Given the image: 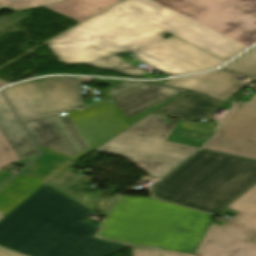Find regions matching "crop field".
<instances>
[{"label":"crop field","mask_w":256,"mask_h":256,"mask_svg":"<svg viewBox=\"0 0 256 256\" xmlns=\"http://www.w3.org/2000/svg\"><path fill=\"white\" fill-rule=\"evenodd\" d=\"M82 176H79L73 173L70 167L62 170L57 175L52 177L46 184H48L53 189L59 191L60 193L66 195L67 197L73 199L74 201L80 203L81 205L85 206L90 210H94L96 206L90 204L89 202L85 201L84 199L78 197L77 195L67 191L66 189L71 187L72 185L76 184L80 181Z\"/></svg>","instance_id":"17"},{"label":"crop field","mask_w":256,"mask_h":256,"mask_svg":"<svg viewBox=\"0 0 256 256\" xmlns=\"http://www.w3.org/2000/svg\"><path fill=\"white\" fill-rule=\"evenodd\" d=\"M38 154H39V151L30 155V156H28V157H26V158H24V159H22V160H20V161H17L16 164L24 166L25 164H27L31 159H33Z\"/></svg>","instance_id":"25"},{"label":"crop field","mask_w":256,"mask_h":256,"mask_svg":"<svg viewBox=\"0 0 256 256\" xmlns=\"http://www.w3.org/2000/svg\"><path fill=\"white\" fill-rule=\"evenodd\" d=\"M236 77L238 76L217 70L205 74L170 79L164 85L191 89L224 101L244 86L243 83L236 82Z\"/></svg>","instance_id":"12"},{"label":"crop field","mask_w":256,"mask_h":256,"mask_svg":"<svg viewBox=\"0 0 256 256\" xmlns=\"http://www.w3.org/2000/svg\"><path fill=\"white\" fill-rule=\"evenodd\" d=\"M17 160L15 153L0 130V170Z\"/></svg>","instance_id":"20"},{"label":"crop field","mask_w":256,"mask_h":256,"mask_svg":"<svg viewBox=\"0 0 256 256\" xmlns=\"http://www.w3.org/2000/svg\"><path fill=\"white\" fill-rule=\"evenodd\" d=\"M186 17V16H185ZM150 0H125L47 43L60 62L85 63L134 76L155 78L113 54L129 51L172 76L209 70L248 46ZM49 48V49H50Z\"/></svg>","instance_id":"1"},{"label":"crop field","mask_w":256,"mask_h":256,"mask_svg":"<svg viewBox=\"0 0 256 256\" xmlns=\"http://www.w3.org/2000/svg\"><path fill=\"white\" fill-rule=\"evenodd\" d=\"M72 163L43 152L26 166L34 170L28 177L17 174L0 189V212H10L44 182Z\"/></svg>","instance_id":"11"},{"label":"crop field","mask_w":256,"mask_h":256,"mask_svg":"<svg viewBox=\"0 0 256 256\" xmlns=\"http://www.w3.org/2000/svg\"><path fill=\"white\" fill-rule=\"evenodd\" d=\"M203 148L256 159V97L235 103Z\"/></svg>","instance_id":"10"},{"label":"crop field","mask_w":256,"mask_h":256,"mask_svg":"<svg viewBox=\"0 0 256 256\" xmlns=\"http://www.w3.org/2000/svg\"><path fill=\"white\" fill-rule=\"evenodd\" d=\"M0 129L4 133L14 152L22 159L36 151L37 148L13 114L0 93Z\"/></svg>","instance_id":"14"},{"label":"crop field","mask_w":256,"mask_h":256,"mask_svg":"<svg viewBox=\"0 0 256 256\" xmlns=\"http://www.w3.org/2000/svg\"><path fill=\"white\" fill-rule=\"evenodd\" d=\"M62 1L64 0H0V9L9 8L14 12H19L51 5Z\"/></svg>","instance_id":"19"},{"label":"crop field","mask_w":256,"mask_h":256,"mask_svg":"<svg viewBox=\"0 0 256 256\" xmlns=\"http://www.w3.org/2000/svg\"><path fill=\"white\" fill-rule=\"evenodd\" d=\"M162 252H163V256H195V255H189L185 253L168 251V250H162Z\"/></svg>","instance_id":"24"},{"label":"crop field","mask_w":256,"mask_h":256,"mask_svg":"<svg viewBox=\"0 0 256 256\" xmlns=\"http://www.w3.org/2000/svg\"><path fill=\"white\" fill-rule=\"evenodd\" d=\"M3 216H5V214H3V213H0V219H1Z\"/></svg>","instance_id":"29"},{"label":"crop field","mask_w":256,"mask_h":256,"mask_svg":"<svg viewBox=\"0 0 256 256\" xmlns=\"http://www.w3.org/2000/svg\"><path fill=\"white\" fill-rule=\"evenodd\" d=\"M248 46L256 42V0H152Z\"/></svg>","instance_id":"7"},{"label":"crop field","mask_w":256,"mask_h":256,"mask_svg":"<svg viewBox=\"0 0 256 256\" xmlns=\"http://www.w3.org/2000/svg\"><path fill=\"white\" fill-rule=\"evenodd\" d=\"M133 256H160L159 251L154 249L132 248Z\"/></svg>","instance_id":"21"},{"label":"crop field","mask_w":256,"mask_h":256,"mask_svg":"<svg viewBox=\"0 0 256 256\" xmlns=\"http://www.w3.org/2000/svg\"><path fill=\"white\" fill-rule=\"evenodd\" d=\"M0 256H25V255L0 247Z\"/></svg>","instance_id":"22"},{"label":"crop field","mask_w":256,"mask_h":256,"mask_svg":"<svg viewBox=\"0 0 256 256\" xmlns=\"http://www.w3.org/2000/svg\"><path fill=\"white\" fill-rule=\"evenodd\" d=\"M221 102L206 95L186 91L153 114L194 121L198 118L211 119V114Z\"/></svg>","instance_id":"13"},{"label":"crop field","mask_w":256,"mask_h":256,"mask_svg":"<svg viewBox=\"0 0 256 256\" xmlns=\"http://www.w3.org/2000/svg\"><path fill=\"white\" fill-rule=\"evenodd\" d=\"M13 174L5 172L3 170L0 171V186L4 184Z\"/></svg>","instance_id":"23"},{"label":"crop field","mask_w":256,"mask_h":256,"mask_svg":"<svg viewBox=\"0 0 256 256\" xmlns=\"http://www.w3.org/2000/svg\"><path fill=\"white\" fill-rule=\"evenodd\" d=\"M215 124L205 125L179 120L167 141L198 147L214 132Z\"/></svg>","instance_id":"16"},{"label":"crop field","mask_w":256,"mask_h":256,"mask_svg":"<svg viewBox=\"0 0 256 256\" xmlns=\"http://www.w3.org/2000/svg\"><path fill=\"white\" fill-rule=\"evenodd\" d=\"M256 182V161L200 149L152 188V196L215 214Z\"/></svg>","instance_id":"5"},{"label":"crop field","mask_w":256,"mask_h":256,"mask_svg":"<svg viewBox=\"0 0 256 256\" xmlns=\"http://www.w3.org/2000/svg\"><path fill=\"white\" fill-rule=\"evenodd\" d=\"M78 77H44L3 89L20 120L86 106Z\"/></svg>","instance_id":"8"},{"label":"crop field","mask_w":256,"mask_h":256,"mask_svg":"<svg viewBox=\"0 0 256 256\" xmlns=\"http://www.w3.org/2000/svg\"><path fill=\"white\" fill-rule=\"evenodd\" d=\"M118 1L120 0H65L47 7L82 22Z\"/></svg>","instance_id":"15"},{"label":"crop field","mask_w":256,"mask_h":256,"mask_svg":"<svg viewBox=\"0 0 256 256\" xmlns=\"http://www.w3.org/2000/svg\"><path fill=\"white\" fill-rule=\"evenodd\" d=\"M252 241L256 242V238H255V239H253Z\"/></svg>","instance_id":"31"},{"label":"crop field","mask_w":256,"mask_h":256,"mask_svg":"<svg viewBox=\"0 0 256 256\" xmlns=\"http://www.w3.org/2000/svg\"><path fill=\"white\" fill-rule=\"evenodd\" d=\"M3 84H5V83L0 82V86L3 85Z\"/></svg>","instance_id":"30"},{"label":"crop field","mask_w":256,"mask_h":256,"mask_svg":"<svg viewBox=\"0 0 256 256\" xmlns=\"http://www.w3.org/2000/svg\"><path fill=\"white\" fill-rule=\"evenodd\" d=\"M223 69L256 79V46L224 66Z\"/></svg>","instance_id":"18"},{"label":"crop field","mask_w":256,"mask_h":256,"mask_svg":"<svg viewBox=\"0 0 256 256\" xmlns=\"http://www.w3.org/2000/svg\"><path fill=\"white\" fill-rule=\"evenodd\" d=\"M150 114L95 151L124 156L148 174L161 178L197 148L167 142L174 123Z\"/></svg>","instance_id":"6"},{"label":"crop field","mask_w":256,"mask_h":256,"mask_svg":"<svg viewBox=\"0 0 256 256\" xmlns=\"http://www.w3.org/2000/svg\"><path fill=\"white\" fill-rule=\"evenodd\" d=\"M211 217L151 198L117 196L99 237L192 253Z\"/></svg>","instance_id":"4"},{"label":"crop field","mask_w":256,"mask_h":256,"mask_svg":"<svg viewBox=\"0 0 256 256\" xmlns=\"http://www.w3.org/2000/svg\"><path fill=\"white\" fill-rule=\"evenodd\" d=\"M92 211L43 184L0 220V246L28 256H106L127 245L95 238Z\"/></svg>","instance_id":"3"},{"label":"crop field","mask_w":256,"mask_h":256,"mask_svg":"<svg viewBox=\"0 0 256 256\" xmlns=\"http://www.w3.org/2000/svg\"><path fill=\"white\" fill-rule=\"evenodd\" d=\"M81 83H87V84H90L92 78H82V77H79Z\"/></svg>","instance_id":"26"},{"label":"crop field","mask_w":256,"mask_h":256,"mask_svg":"<svg viewBox=\"0 0 256 256\" xmlns=\"http://www.w3.org/2000/svg\"><path fill=\"white\" fill-rule=\"evenodd\" d=\"M95 83L111 85L102 90L107 101L23 122L40 150L75 162L185 91L136 81Z\"/></svg>","instance_id":"2"},{"label":"crop field","mask_w":256,"mask_h":256,"mask_svg":"<svg viewBox=\"0 0 256 256\" xmlns=\"http://www.w3.org/2000/svg\"><path fill=\"white\" fill-rule=\"evenodd\" d=\"M31 172H32V170L24 168L22 171L19 172V174L28 176Z\"/></svg>","instance_id":"27"},{"label":"crop field","mask_w":256,"mask_h":256,"mask_svg":"<svg viewBox=\"0 0 256 256\" xmlns=\"http://www.w3.org/2000/svg\"><path fill=\"white\" fill-rule=\"evenodd\" d=\"M231 105H232V103H223V104L220 106V108H223V109L228 110Z\"/></svg>","instance_id":"28"},{"label":"crop field","mask_w":256,"mask_h":256,"mask_svg":"<svg viewBox=\"0 0 256 256\" xmlns=\"http://www.w3.org/2000/svg\"><path fill=\"white\" fill-rule=\"evenodd\" d=\"M227 208L239 212L221 227L210 225L195 254L199 256H256V185Z\"/></svg>","instance_id":"9"}]
</instances>
